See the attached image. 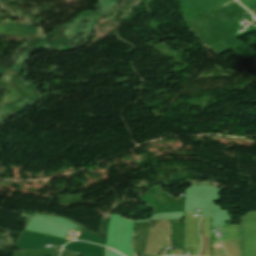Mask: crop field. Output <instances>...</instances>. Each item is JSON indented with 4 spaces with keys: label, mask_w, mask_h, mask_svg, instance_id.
Returning a JSON list of instances; mask_svg holds the SVG:
<instances>
[{
    "label": "crop field",
    "mask_w": 256,
    "mask_h": 256,
    "mask_svg": "<svg viewBox=\"0 0 256 256\" xmlns=\"http://www.w3.org/2000/svg\"><path fill=\"white\" fill-rule=\"evenodd\" d=\"M242 256H256V212L242 217Z\"/></svg>",
    "instance_id": "crop-field-1"
},
{
    "label": "crop field",
    "mask_w": 256,
    "mask_h": 256,
    "mask_svg": "<svg viewBox=\"0 0 256 256\" xmlns=\"http://www.w3.org/2000/svg\"><path fill=\"white\" fill-rule=\"evenodd\" d=\"M134 227H135V222L132 221L131 241H130V252H129V256H132V244H133Z\"/></svg>",
    "instance_id": "crop-field-2"
}]
</instances>
